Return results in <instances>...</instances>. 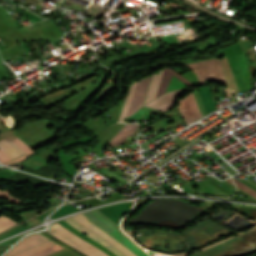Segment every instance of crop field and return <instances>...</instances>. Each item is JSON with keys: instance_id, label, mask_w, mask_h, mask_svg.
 I'll return each mask as SVG.
<instances>
[{"instance_id": "crop-field-1", "label": "crop field", "mask_w": 256, "mask_h": 256, "mask_svg": "<svg viewBox=\"0 0 256 256\" xmlns=\"http://www.w3.org/2000/svg\"><path fill=\"white\" fill-rule=\"evenodd\" d=\"M53 235L57 236L61 240L67 242L69 245L73 246L77 250L83 252L88 256H109L104 252L100 251L96 247L92 246L88 242L80 239L76 235H74L69 230L55 223L51 225V229L48 231Z\"/></svg>"}, {"instance_id": "crop-field-2", "label": "crop field", "mask_w": 256, "mask_h": 256, "mask_svg": "<svg viewBox=\"0 0 256 256\" xmlns=\"http://www.w3.org/2000/svg\"><path fill=\"white\" fill-rule=\"evenodd\" d=\"M204 63H206V62H204ZM204 63H200L199 65L204 64ZM194 66H198V64L188 65V67L191 68L192 70H193L192 67H194ZM194 70H195L201 84L204 83L203 79H206L209 81H212V80L218 81L220 79V82L224 83V85H225L227 96L231 97L226 79L223 74L221 62L219 60L213 59L210 62L206 63L205 65L194 67Z\"/></svg>"}, {"instance_id": "crop-field-3", "label": "crop field", "mask_w": 256, "mask_h": 256, "mask_svg": "<svg viewBox=\"0 0 256 256\" xmlns=\"http://www.w3.org/2000/svg\"><path fill=\"white\" fill-rule=\"evenodd\" d=\"M178 107L187 125L202 117L192 92L180 99Z\"/></svg>"}, {"instance_id": "crop-field-4", "label": "crop field", "mask_w": 256, "mask_h": 256, "mask_svg": "<svg viewBox=\"0 0 256 256\" xmlns=\"http://www.w3.org/2000/svg\"><path fill=\"white\" fill-rule=\"evenodd\" d=\"M187 91H189V90L187 88H185V89H182V90H178V91H175V92L164 94L163 96H161L160 98L150 102L146 106L152 107V108H155V109H159V110H162V111L168 110V109L172 108L175 99L177 97L183 95Z\"/></svg>"}, {"instance_id": "crop-field-5", "label": "crop field", "mask_w": 256, "mask_h": 256, "mask_svg": "<svg viewBox=\"0 0 256 256\" xmlns=\"http://www.w3.org/2000/svg\"><path fill=\"white\" fill-rule=\"evenodd\" d=\"M72 218L75 219L76 221H78L79 223H81L82 225H84L85 227H87L88 229H90L91 231L97 233L98 235H100L101 237L106 239L107 241H109L115 247H117L122 252H124L127 256H136L129 249H127L125 246L121 245L120 243H118L117 241L112 239L110 236H108L106 233H104L102 230L96 228L94 225H92L90 222H88L86 220L85 216H83L82 214L77 215V216L72 217Z\"/></svg>"}, {"instance_id": "crop-field-6", "label": "crop field", "mask_w": 256, "mask_h": 256, "mask_svg": "<svg viewBox=\"0 0 256 256\" xmlns=\"http://www.w3.org/2000/svg\"><path fill=\"white\" fill-rule=\"evenodd\" d=\"M64 221H66L69 225H71L72 227L76 228L77 230H79L80 232L90 236L93 240L103 244L104 246L107 247V249H109L110 251H112L113 253H115L118 256H126L125 254H123L120 250H118L117 248H115L114 246H112L110 243H108L106 240H104L103 238H101L100 236H98L97 234L91 232L90 230H88L87 228H85L84 226H82L81 224H79L78 222H76L75 220L68 218V219H64ZM89 237V238H90Z\"/></svg>"}, {"instance_id": "crop-field-7", "label": "crop field", "mask_w": 256, "mask_h": 256, "mask_svg": "<svg viewBox=\"0 0 256 256\" xmlns=\"http://www.w3.org/2000/svg\"><path fill=\"white\" fill-rule=\"evenodd\" d=\"M88 221L98 226L100 229H102L105 232L111 231L114 227L110 225L108 222H106L104 219H102L100 216H98L96 213L90 211L87 213H83ZM110 236H112L115 240L122 243V240L120 238L119 230L116 228L112 230L110 233H108ZM123 244V243H122Z\"/></svg>"}, {"instance_id": "crop-field-8", "label": "crop field", "mask_w": 256, "mask_h": 256, "mask_svg": "<svg viewBox=\"0 0 256 256\" xmlns=\"http://www.w3.org/2000/svg\"><path fill=\"white\" fill-rule=\"evenodd\" d=\"M45 237L34 234L25 237L19 244H17L12 250H10L5 256H10L15 253L21 252L23 250L29 249L31 247L37 246L45 241H47Z\"/></svg>"}, {"instance_id": "crop-field-9", "label": "crop field", "mask_w": 256, "mask_h": 256, "mask_svg": "<svg viewBox=\"0 0 256 256\" xmlns=\"http://www.w3.org/2000/svg\"><path fill=\"white\" fill-rule=\"evenodd\" d=\"M173 70V69H172ZM171 69L165 68L164 71V75L163 78L161 80L160 86H159V90L158 93L156 95V97L162 95L163 93L166 92V89L168 87L169 81L172 78V76H176L178 79H180L182 82H184L186 85L188 86H192L193 84H191L189 81H187L185 78H183L182 76L178 75L177 73H175L174 71H172Z\"/></svg>"}, {"instance_id": "crop-field-10", "label": "crop field", "mask_w": 256, "mask_h": 256, "mask_svg": "<svg viewBox=\"0 0 256 256\" xmlns=\"http://www.w3.org/2000/svg\"><path fill=\"white\" fill-rule=\"evenodd\" d=\"M0 149L5 152L12 160L20 155L26 154L8 138L0 141Z\"/></svg>"}, {"instance_id": "crop-field-11", "label": "crop field", "mask_w": 256, "mask_h": 256, "mask_svg": "<svg viewBox=\"0 0 256 256\" xmlns=\"http://www.w3.org/2000/svg\"><path fill=\"white\" fill-rule=\"evenodd\" d=\"M162 72H163V70H161L160 75L153 74L151 86H150V89H149V92H148V95H147V98H146V101H145L144 105L146 103H148L150 100L154 99V97L156 95V92H157V89H158V86H159L161 76H162Z\"/></svg>"}, {"instance_id": "crop-field-12", "label": "crop field", "mask_w": 256, "mask_h": 256, "mask_svg": "<svg viewBox=\"0 0 256 256\" xmlns=\"http://www.w3.org/2000/svg\"><path fill=\"white\" fill-rule=\"evenodd\" d=\"M54 243L51 240H49V241H47V242H45V243H43V244H41V245H39L37 247L31 248L29 250H26V251H23L21 253L15 254L13 256H29V255H31V254H33L35 252H38V251H41L43 249H46V248H49L51 246L56 245Z\"/></svg>"}, {"instance_id": "crop-field-13", "label": "crop field", "mask_w": 256, "mask_h": 256, "mask_svg": "<svg viewBox=\"0 0 256 256\" xmlns=\"http://www.w3.org/2000/svg\"><path fill=\"white\" fill-rule=\"evenodd\" d=\"M136 83L132 84V86H131V88L128 92V97H127V100H126L125 105L123 107V110L121 112L119 122H123L124 118H126V116H127L128 109H129V106H130V103H131V100H132V96H133V93H134V90H135Z\"/></svg>"}, {"instance_id": "crop-field-14", "label": "crop field", "mask_w": 256, "mask_h": 256, "mask_svg": "<svg viewBox=\"0 0 256 256\" xmlns=\"http://www.w3.org/2000/svg\"><path fill=\"white\" fill-rule=\"evenodd\" d=\"M12 142H14L16 145H18L22 150H24L27 154L8 163V164H5V165H9V164H12V163H19L21 162L22 160H24L28 155L34 153V151L32 149H30L28 146H26L23 142H21L18 138L14 139Z\"/></svg>"}, {"instance_id": "crop-field-15", "label": "crop field", "mask_w": 256, "mask_h": 256, "mask_svg": "<svg viewBox=\"0 0 256 256\" xmlns=\"http://www.w3.org/2000/svg\"><path fill=\"white\" fill-rule=\"evenodd\" d=\"M121 235L124 240V244L128 248H130L134 253H136L138 256H148L140 248H138L133 242H131L128 238H126L122 233H121Z\"/></svg>"}, {"instance_id": "crop-field-16", "label": "crop field", "mask_w": 256, "mask_h": 256, "mask_svg": "<svg viewBox=\"0 0 256 256\" xmlns=\"http://www.w3.org/2000/svg\"><path fill=\"white\" fill-rule=\"evenodd\" d=\"M16 224H17L16 222L12 221L7 216L0 217V231L6 229L8 227L14 226Z\"/></svg>"}, {"instance_id": "crop-field-17", "label": "crop field", "mask_w": 256, "mask_h": 256, "mask_svg": "<svg viewBox=\"0 0 256 256\" xmlns=\"http://www.w3.org/2000/svg\"><path fill=\"white\" fill-rule=\"evenodd\" d=\"M233 207H235V208L241 210L242 212L256 218V207L237 206V205H233Z\"/></svg>"}, {"instance_id": "crop-field-18", "label": "crop field", "mask_w": 256, "mask_h": 256, "mask_svg": "<svg viewBox=\"0 0 256 256\" xmlns=\"http://www.w3.org/2000/svg\"><path fill=\"white\" fill-rule=\"evenodd\" d=\"M62 249H64V248L56 245L54 247H51L49 249H46L44 251H41V252L36 253L34 255H31V256H46V255L52 254V253L57 252V251L62 250Z\"/></svg>"}, {"instance_id": "crop-field-19", "label": "crop field", "mask_w": 256, "mask_h": 256, "mask_svg": "<svg viewBox=\"0 0 256 256\" xmlns=\"http://www.w3.org/2000/svg\"><path fill=\"white\" fill-rule=\"evenodd\" d=\"M11 161V159L0 150V162L5 164L7 162Z\"/></svg>"}, {"instance_id": "crop-field-20", "label": "crop field", "mask_w": 256, "mask_h": 256, "mask_svg": "<svg viewBox=\"0 0 256 256\" xmlns=\"http://www.w3.org/2000/svg\"><path fill=\"white\" fill-rule=\"evenodd\" d=\"M236 185H237V184H236ZM237 188H239V189H241V190H243V191H245V192H247V193L251 194L253 197H255V198H256V195H255V194H253V193H251V192H249V191L245 190V189H244V188H242L241 186L237 185Z\"/></svg>"}, {"instance_id": "crop-field-21", "label": "crop field", "mask_w": 256, "mask_h": 256, "mask_svg": "<svg viewBox=\"0 0 256 256\" xmlns=\"http://www.w3.org/2000/svg\"><path fill=\"white\" fill-rule=\"evenodd\" d=\"M0 195H9V194H7L5 191L0 190Z\"/></svg>"}, {"instance_id": "crop-field-22", "label": "crop field", "mask_w": 256, "mask_h": 256, "mask_svg": "<svg viewBox=\"0 0 256 256\" xmlns=\"http://www.w3.org/2000/svg\"><path fill=\"white\" fill-rule=\"evenodd\" d=\"M226 181L234 185L233 181H231L229 179H227Z\"/></svg>"}]
</instances>
